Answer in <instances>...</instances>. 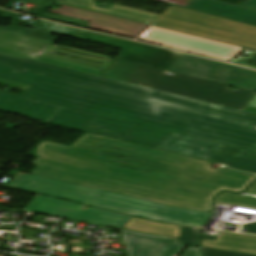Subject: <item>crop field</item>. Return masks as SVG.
Wrapping results in <instances>:
<instances>
[{
    "instance_id": "obj_1",
    "label": "crop field",
    "mask_w": 256,
    "mask_h": 256,
    "mask_svg": "<svg viewBox=\"0 0 256 256\" xmlns=\"http://www.w3.org/2000/svg\"><path fill=\"white\" fill-rule=\"evenodd\" d=\"M37 148L106 163L97 172L36 159L33 174L178 208L212 212L222 189L242 192L256 175L215 169L214 162L92 133L71 147L42 141Z\"/></svg>"
},
{
    "instance_id": "obj_2",
    "label": "crop field",
    "mask_w": 256,
    "mask_h": 256,
    "mask_svg": "<svg viewBox=\"0 0 256 256\" xmlns=\"http://www.w3.org/2000/svg\"><path fill=\"white\" fill-rule=\"evenodd\" d=\"M0 65V78L32 85L24 97L245 150L256 160V127Z\"/></svg>"
},
{
    "instance_id": "obj_3",
    "label": "crop field",
    "mask_w": 256,
    "mask_h": 256,
    "mask_svg": "<svg viewBox=\"0 0 256 256\" xmlns=\"http://www.w3.org/2000/svg\"><path fill=\"white\" fill-rule=\"evenodd\" d=\"M55 51L56 53H50ZM0 52L105 76L139 86L243 110L256 92L176 74L165 70L85 52L0 30ZM104 71L101 72V71ZM171 73V72H169ZM175 74V73H173Z\"/></svg>"
},
{
    "instance_id": "obj_4",
    "label": "crop field",
    "mask_w": 256,
    "mask_h": 256,
    "mask_svg": "<svg viewBox=\"0 0 256 256\" xmlns=\"http://www.w3.org/2000/svg\"><path fill=\"white\" fill-rule=\"evenodd\" d=\"M9 186L163 223L201 227L211 215L207 212L173 208L22 172L18 173Z\"/></svg>"
},
{
    "instance_id": "obj_5",
    "label": "crop field",
    "mask_w": 256,
    "mask_h": 256,
    "mask_svg": "<svg viewBox=\"0 0 256 256\" xmlns=\"http://www.w3.org/2000/svg\"><path fill=\"white\" fill-rule=\"evenodd\" d=\"M0 64L91 85L256 126V114L163 93L133 84L0 53ZM198 112V113H199Z\"/></svg>"
},
{
    "instance_id": "obj_6",
    "label": "crop field",
    "mask_w": 256,
    "mask_h": 256,
    "mask_svg": "<svg viewBox=\"0 0 256 256\" xmlns=\"http://www.w3.org/2000/svg\"><path fill=\"white\" fill-rule=\"evenodd\" d=\"M0 109L157 147L172 133L0 92Z\"/></svg>"
},
{
    "instance_id": "obj_7",
    "label": "crop field",
    "mask_w": 256,
    "mask_h": 256,
    "mask_svg": "<svg viewBox=\"0 0 256 256\" xmlns=\"http://www.w3.org/2000/svg\"><path fill=\"white\" fill-rule=\"evenodd\" d=\"M256 91V72L183 54L169 70Z\"/></svg>"
},
{
    "instance_id": "obj_8",
    "label": "crop field",
    "mask_w": 256,
    "mask_h": 256,
    "mask_svg": "<svg viewBox=\"0 0 256 256\" xmlns=\"http://www.w3.org/2000/svg\"><path fill=\"white\" fill-rule=\"evenodd\" d=\"M139 39L227 62H230L242 51L239 47L153 26Z\"/></svg>"
},
{
    "instance_id": "obj_9",
    "label": "crop field",
    "mask_w": 256,
    "mask_h": 256,
    "mask_svg": "<svg viewBox=\"0 0 256 256\" xmlns=\"http://www.w3.org/2000/svg\"><path fill=\"white\" fill-rule=\"evenodd\" d=\"M82 208L83 205L37 195L24 210L117 228H122L133 218L91 207H88L86 211L81 210Z\"/></svg>"
},
{
    "instance_id": "obj_10",
    "label": "crop field",
    "mask_w": 256,
    "mask_h": 256,
    "mask_svg": "<svg viewBox=\"0 0 256 256\" xmlns=\"http://www.w3.org/2000/svg\"><path fill=\"white\" fill-rule=\"evenodd\" d=\"M75 38L123 48L117 58L167 70L179 52L80 30Z\"/></svg>"
},
{
    "instance_id": "obj_11",
    "label": "crop field",
    "mask_w": 256,
    "mask_h": 256,
    "mask_svg": "<svg viewBox=\"0 0 256 256\" xmlns=\"http://www.w3.org/2000/svg\"><path fill=\"white\" fill-rule=\"evenodd\" d=\"M157 27L174 30L190 35L212 39L244 48L256 49V39L227 31L155 14L147 23Z\"/></svg>"
},
{
    "instance_id": "obj_12",
    "label": "crop field",
    "mask_w": 256,
    "mask_h": 256,
    "mask_svg": "<svg viewBox=\"0 0 256 256\" xmlns=\"http://www.w3.org/2000/svg\"><path fill=\"white\" fill-rule=\"evenodd\" d=\"M46 4H50V2H47ZM50 5H52L50 7L52 9L49 11L90 21V28L96 30L136 38L149 27V25L146 24L84 11L67 6H62V8L59 9L57 8L58 4L55 3L54 5Z\"/></svg>"
},
{
    "instance_id": "obj_13",
    "label": "crop field",
    "mask_w": 256,
    "mask_h": 256,
    "mask_svg": "<svg viewBox=\"0 0 256 256\" xmlns=\"http://www.w3.org/2000/svg\"><path fill=\"white\" fill-rule=\"evenodd\" d=\"M129 256H172L179 240L120 229Z\"/></svg>"
},
{
    "instance_id": "obj_14",
    "label": "crop field",
    "mask_w": 256,
    "mask_h": 256,
    "mask_svg": "<svg viewBox=\"0 0 256 256\" xmlns=\"http://www.w3.org/2000/svg\"><path fill=\"white\" fill-rule=\"evenodd\" d=\"M162 14L256 38V27L254 26L194 12L175 6L169 7Z\"/></svg>"
},
{
    "instance_id": "obj_15",
    "label": "crop field",
    "mask_w": 256,
    "mask_h": 256,
    "mask_svg": "<svg viewBox=\"0 0 256 256\" xmlns=\"http://www.w3.org/2000/svg\"><path fill=\"white\" fill-rule=\"evenodd\" d=\"M222 145L173 133L157 148L207 159Z\"/></svg>"
},
{
    "instance_id": "obj_16",
    "label": "crop field",
    "mask_w": 256,
    "mask_h": 256,
    "mask_svg": "<svg viewBox=\"0 0 256 256\" xmlns=\"http://www.w3.org/2000/svg\"><path fill=\"white\" fill-rule=\"evenodd\" d=\"M201 247L256 256V236L218 232L216 241L202 239Z\"/></svg>"
},
{
    "instance_id": "obj_17",
    "label": "crop field",
    "mask_w": 256,
    "mask_h": 256,
    "mask_svg": "<svg viewBox=\"0 0 256 256\" xmlns=\"http://www.w3.org/2000/svg\"><path fill=\"white\" fill-rule=\"evenodd\" d=\"M95 1L96 0H57L56 3L142 23L148 22L154 15L153 13L116 4L111 5L109 9H105L98 7L97 4L94 3Z\"/></svg>"
},
{
    "instance_id": "obj_18",
    "label": "crop field",
    "mask_w": 256,
    "mask_h": 256,
    "mask_svg": "<svg viewBox=\"0 0 256 256\" xmlns=\"http://www.w3.org/2000/svg\"><path fill=\"white\" fill-rule=\"evenodd\" d=\"M188 7L256 24V11L212 0H195Z\"/></svg>"
},
{
    "instance_id": "obj_19",
    "label": "crop field",
    "mask_w": 256,
    "mask_h": 256,
    "mask_svg": "<svg viewBox=\"0 0 256 256\" xmlns=\"http://www.w3.org/2000/svg\"><path fill=\"white\" fill-rule=\"evenodd\" d=\"M242 152V150L223 146L208 159L222 163L234 169L256 173L255 160L237 157Z\"/></svg>"
},
{
    "instance_id": "obj_20",
    "label": "crop field",
    "mask_w": 256,
    "mask_h": 256,
    "mask_svg": "<svg viewBox=\"0 0 256 256\" xmlns=\"http://www.w3.org/2000/svg\"><path fill=\"white\" fill-rule=\"evenodd\" d=\"M123 228L180 239L181 227L133 218Z\"/></svg>"
},
{
    "instance_id": "obj_21",
    "label": "crop field",
    "mask_w": 256,
    "mask_h": 256,
    "mask_svg": "<svg viewBox=\"0 0 256 256\" xmlns=\"http://www.w3.org/2000/svg\"><path fill=\"white\" fill-rule=\"evenodd\" d=\"M36 156L37 158H43V159L56 161L64 164H69V165L86 168L94 171H97L100 167L104 165L103 163L71 157L67 155L40 150V149H37Z\"/></svg>"
},
{
    "instance_id": "obj_22",
    "label": "crop field",
    "mask_w": 256,
    "mask_h": 256,
    "mask_svg": "<svg viewBox=\"0 0 256 256\" xmlns=\"http://www.w3.org/2000/svg\"><path fill=\"white\" fill-rule=\"evenodd\" d=\"M215 202L236 207L256 209V197L245 194L222 192L215 198Z\"/></svg>"
},
{
    "instance_id": "obj_23",
    "label": "crop field",
    "mask_w": 256,
    "mask_h": 256,
    "mask_svg": "<svg viewBox=\"0 0 256 256\" xmlns=\"http://www.w3.org/2000/svg\"><path fill=\"white\" fill-rule=\"evenodd\" d=\"M0 29L4 30V31H8V32L16 33V34H22L24 36L52 42V43H54L57 40L56 38L50 37L51 33L26 29V28H22V27H19L16 25L10 26V27H4V26L0 25Z\"/></svg>"
},
{
    "instance_id": "obj_24",
    "label": "crop field",
    "mask_w": 256,
    "mask_h": 256,
    "mask_svg": "<svg viewBox=\"0 0 256 256\" xmlns=\"http://www.w3.org/2000/svg\"><path fill=\"white\" fill-rule=\"evenodd\" d=\"M34 28L50 31V32H55V33H60L64 35H69L72 36L75 32L78 31V29H74L71 27L55 24V23H50L46 21L40 20L37 24L31 26Z\"/></svg>"
},
{
    "instance_id": "obj_25",
    "label": "crop field",
    "mask_w": 256,
    "mask_h": 256,
    "mask_svg": "<svg viewBox=\"0 0 256 256\" xmlns=\"http://www.w3.org/2000/svg\"><path fill=\"white\" fill-rule=\"evenodd\" d=\"M200 234L195 233V228L182 227L180 244H191L198 246Z\"/></svg>"
},
{
    "instance_id": "obj_26",
    "label": "crop field",
    "mask_w": 256,
    "mask_h": 256,
    "mask_svg": "<svg viewBox=\"0 0 256 256\" xmlns=\"http://www.w3.org/2000/svg\"><path fill=\"white\" fill-rule=\"evenodd\" d=\"M234 63L256 69V50H253L249 54V57L238 59V60L234 61Z\"/></svg>"
},
{
    "instance_id": "obj_27",
    "label": "crop field",
    "mask_w": 256,
    "mask_h": 256,
    "mask_svg": "<svg viewBox=\"0 0 256 256\" xmlns=\"http://www.w3.org/2000/svg\"><path fill=\"white\" fill-rule=\"evenodd\" d=\"M200 249L204 256H248V255L235 254V253L210 250V249H204V248H200Z\"/></svg>"
},
{
    "instance_id": "obj_28",
    "label": "crop field",
    "mask_w": 256,
    "mask_h": 256,
    "mask_svg": "<svg viewBox=\"0 0 256 256\" xmlns=\"http://www.w3.org/2000/svg\"><path fill=\"white\" fill-rule=\"evenodd\" d=\"M0 84L15 87V88H20V89H24V90H27L30 87L29 85H25V84L13 82V81H8V80H4V79H0Z\"/></svg>"
},
{
    "instance_id": "obj_29",
    "label": "crop field",
    "mask_w": 256,
    "mask_h": 256,
    "mask_svg": "<svg viewBox=\"0 0 256 256\" xmlns=\"http://www.w3.org/2000/svg\"><path fill=\"white\" fill-rule=\"evenodd\" d=\"M181 256H203L197 247L188 246Z\"/></svg>"
},
{
    "instance_id": "obj_30",
    "label": "crop field",
    "mask_w": 256,
    "mask_h": 256,
    "mask_svg": "<svg viewBox=\"0 0 256 256\" xmlns=\"http://www.w3.org/2000/svg\"><path fill=\"white\" fill-rule=\"evenodd\" d=\"M241 228L245 229L246 233L256 234V223L244 224Z\"/></svg>"
},
{
    "instance_id": "obj_31",
    "label": "crop field",
    "mask_w": 256,
    "mask_h": 256,
    "mask_svg": "<svg viewBox=\"0 0 256 256\" xmlns=\"http://www.w3.org/2000/svg\"><path fill=\"white\" fill-rule=\"evenodd\" d=\"M162 1H166V2H171V3L187 6L191 2H193L194 0H162Z\"/></svg>"
},
{
    "instance_id": "obj_32",
    "label": "crop field",
    "mask_w": 256,
    "mask_h": 256,
    "mask_svg": "<svg viewBox=\"0 0 256 256\" xmlns=\"http://www.w3.org/2000/svg\"><path fill=\"white\" fill-rule=\"evenodd\" d=\"M244 193L256 196V182L251 185Z\"/></svg>"
},
{
    "instance_id": "obj_33",
    "label": "crop field",
    "mask_w": 256,
    "mask_h": 256,
    "mask_svg": "<svg viewBox=\"0 0 256 256\" xmlns=\"http://www.w3.org/2000/svg\"><path fill=\"white\" fill-rule=\"evenodd\" d=\"M242 5H245V6L249 7V8H252V9L256 10V0H247Z\"/></svg>"
},
{
    "instance_id": "obj_34",
    "label": "crop field",
    "mask_w": 256,
    "mask_h": 256,
    "mask_svg": "<svg viewBox=\"0 0 256 256\" xmlns=\"http://www.w3.org/2000/svg\"><path fill=\"white\" fill-rule=\"evenodd\" d=\"M220 1H224V2H228V3L240 5V4H242L243 2H245L246 0H220Z\"/></svg>"
},
{
    "instance_id": "obj_35",
    "label": "crop field",
    "mask_w": 256,
    "mask_h": 256,
    "mask_svg": "<svg viewBox=\"0 0 256 256\" xmlns=\"http://www.w3.org/2000/svg\"><path fill=\"white\" fill-rule=\"evenodd\" d=\"M216 237H217L216 234H214V235L202 234V238H205V239L215 240Z\"/></svg>"
},
{
    "instance_id": "obj_36",
    "label": "crop field",
    "mask_w": 256,
    "mask_h": 256,
    "mask_svg": "<svg viewBox=\"0 0 256 256\" xmlns=\"http://www.w3.org/2000/svg\"><path fill=\"white\" fill-rule=\"evenodd\" d=\"M248 105H249V106L256 107V95H255V97L250 101V103H249Z\"/></svg>"
}]
</instances>
